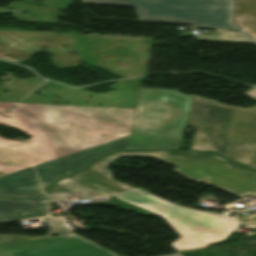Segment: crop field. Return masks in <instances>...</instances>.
Segmentation results:
<instances>
[{
  "mask_svg": "<svg viewBox=\"0 0 256 256\" xmlns=\"http://www.w3.org/2000/svg\"><path fill=\"white\" fill-rule=\"evenodd\" d=\"M13 104L0 103V112ZM135 109L19 104L0 114V124L30 136L24 143L0 142V171L12 172L84 149L131 130ZM122 115L119 118L116 115ZM106 133L101 138L100 133Z\"/></svg>",
  "mask_w": 256,
  "mask_h": 256,
  "instance_id": "8a807250",
  "label": "crop field"
},
{
  "mask_svg": "<svg viewBox=\"0 0 256 256\" xmlns=\"http://www.w3.org/2000/svg\"><path fill=\"white\" fill-rule=\"evenodd\" d=\"M151 155L179 166L176 171L205 183L222 187L244 198L245 194L256 195V172L241 167L215 154L182 151L117 152L92 162L89 169L70 178L89 184L111 194L130 189L111 180L107 168L120 156Z\"/></svg>",
  "mask_w": 256,
  "mask_h": 256,
  "instance_id": "ac0d7876",
  "label": "crop field"
},
{
  "mask_svg": "<svg viewBox=\"0 0 256 256\" xmlns=\"http://www.w3.org/2000/svg\"><path fill=\"white\" fill-rule=\"evenodd\" d=\"M189 127L191 149L215 151L256 169V106L242 109L194 97Z\"/></svg>",
  "mask_w": 256,
  "mask_h": 256,
  "instance_id": "34b2d1b8",
  "label": "crop field"
},
{
  "mask_svg": "<svg viewBox=\"0 0 256 256\" xmlns=\"http://www.w3.org/2000/svg\"><path fill=\"white\" fill-rule=\"evenodd\" d=\"M48 196L32 200L0 198V221L47 216ZM49 231L44 237L0 235V256H118L62 225L61 219L43 218ZM56 233L58 237H52Z\"/></svg>",
  "mask_w": 256,
  "mask_h": 256,
  "instance_id": "412701ff",
  "label": "crop field"
},
{
  "mask_svg": "<svg viewBox=\"0 0 256 256\" xmlns=\"http://www.w3.org/2000/svg\"><path fill=\"white\" fill-rule=\"evenodd\" d=\"M190 97L169 89L142 88L127 149H180Z\"/></svg>",
  "mask_w": 256,
  "mask_h": 256,
  "instance_id": "f4fd0767",
  "label": "crop field"
},
{
  "mask_svg": "<svg viewBox=\"0 0 256 256\" xmlns=\"http://www.w3.org/2000/svg\"><path fill=\"white\" fill-rule=\"evenodd\" d=\"M114 197L162 216L181 236L170 244L177 251L193 250L221 241L240 225L232 218L181 209L137 190Z\"/></svg>",
  "mask_w": 256,
  "mask_h": 256,
  "instance_id": "dd49c442",
  "label": "crop field"
},
{
  "mask_svg": "<svg viewBox=\"0 0 256 256\" xmlns=\"http://www.w3.org/2000/svg\"><path fill=\"white\" fill-rule=\"evenodd\" d=\"M232 0H82L83 3L135 6L140 20L185 23L240 31L230 23ZM145 9V10H143Z\"/></svg>",
  "mask_w": 256,
  "mask_h": 256,
  "instance_id": "e52e79f7",
  "label": "crop field"
},
{
  "mask_svg": "<svg viewBox=\"0 0 256 256\" xmlns=\"http://www.w3.org/2000/svg\"><path fill=\"white\" fill-rule=\"evenodd\" d=\"M128 135L0 176V195L37 196L55 180L85 168L89 160L107 152L126 149Z\"/></svg>",
  "mask_w": 256,
  "mask_h": 256,
  "instance_id": "d8731c3e",
  "label": "crop field"
},
{
  "mask_svg": "<svg viewBox=\"0 0 256 256\" xmlns=\"http://www.w3.org/2000/svg\"><path fill=\"white\" fill-rule=\"evenodd\" d=\"M49 193L51 194L52 198L56 199L57 201L69 200L64 195L66 193H81V196H79L80 199L111 195L70 178H66L56 183Z\"/></svg>",
  "mask_w": 256,
  "mask_h": 256,
  "instance_id": "5a996713",
  "label": "crop field"
},
{
  "mask_svg": "<svg viewBox=\"0 0 256 256\" xmlns=\"http://www.w3.org/2000/svg\"><path fill=\"white\" fill-rule=\"evenodd\" d=\"M234 23L253 39L256 38V0L235 1Z\"/></svg>",
  "mask_w": 256,
  "mask_h": 256,
  "instance_id": "3316defc",
  "label": "crop field"
},
{
  "mask_svg": "<svg viewBox=\"0 0 256 256\" xmlns=\"http://www.w3.org/2000/svg\"><path fill=\"white\" fill-rule=\"evenodd\" d=\"M197 41L254 44L243 33L220 32L218 36L198 35Z\"/></svg>",
  "mask_w": 256,
  "mask_h": 256,
  "instance_id": "28ad6ade",
  "label": "crop field"
},
{
  "mask_svg": "<svg viewBox=\"0 0 256 256\" xmlns=\"http://www.w3.org/2000/svg\"><path fill=\"white\" fill-rule=\"evenodd\" d=\"M241 222L255 224L256 225V213L249 217H240L238 218Z\"/></svg>",
  "mask_w": 256,
  "mask_h": 256,
  "instance_id": "d1516ede",
  "label": "crop field"
},
{
  "mask_svg": "<svg viewBox=\"0 0 256 256\" xmlns=\"http://www.w3.org/2000/svg\"><path fill=\"white\" fill-rule=\"evenodd\" d=\"M244 95L256 101V89H254Z\"/></svg>",
  "mask_w": 256,
  "mask_h": 256,
  "instance_id": "22f410ed",
  "label": "crop field"
},
{
  "mask_svg": "<svg viewBox=\"0 0 256 256\" xmlns=\"http://www.w3.org/2000/svg\"><path fill=\"white\" fill-rule=\"evenodd\" d=\"M167 256H180V254H179V253H176V254L167 255Z\"/></svg>",
  "mask_w": 256,
  "mask_h": 256,
  "instance_id": "cbeb9de0",
  "label": "crop field"
}]
</instances>
